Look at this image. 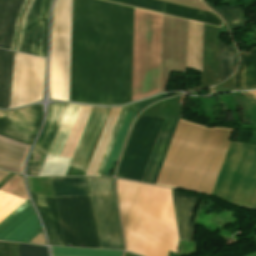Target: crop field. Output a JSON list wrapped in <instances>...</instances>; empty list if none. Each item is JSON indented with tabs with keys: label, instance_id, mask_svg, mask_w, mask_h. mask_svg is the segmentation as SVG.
I'll list each match as a JSON object with an SVG mask.
<instances>
[{
	"label": "crop field",
	"instance_id": "crop-field-20",
	"mask_svg": "<svg viewBox=\"0 0 256 256\" xmlns=\"http://www.w3.org/2000/svg\"><path fill=\"white\" fill-rule=\"evenodd\" d=\"M13 52L0 49V107L9 108Z\"/></svg>",
	"mask_w": 256,
	"mask_h": 256
},
{
	"label": "crop field",
	"instance_id": "crop-field-12",
	"mask_svg": "<svg viewBox=\"0 0 256 256\" xmlns=\"http://www.w3.org/2000/svg\"><path fill=\"white\" fill-rule=\"evenodd\" d=\"M66 105L67 104H51L49 106L44 130L30 155L27 169L28 175H39Z\"/></svg>",
	"mask_w": 256,
	"mask_h": 256
},
{
	"label": "crop field",
	"instance_id": "crop-field-14",
	"mask_svg": "<svg viewBox=\"0 0 256 256\" xmlns=\"http://www.w3.org/2000/svg\"><path fill=\"white\" fill-rule=\"evenodd\" d=\"M180 240L193 241L192 217L199 199L182 196L171 189Z\"/></svg>",
	"mask_w": 256,
	"mask_h": 256
},
{
	"label": "crop field",
	"instance_id": "crop-field-19",
	"mask_svg": "<svg viewBox=\"0 0 256 256\" xmlns=\"http://www.w3.org/2000/svg\"><path fill=\"white\" fill-rule=\"evenodd\" d=\"M203 24L188 20L187 66L201 70Z\"/></svg>",
	"mask_w": 256,
	"mask_h": 256
},
{
	"label": "crop field",
	"instance_id": "crop-field-3",
	"mask_svg": "<svg viewBox=\"0 0 256 256\" xmlns=\"http://www.w3.org/2000/svg\"><path fill=\"white\" fill-rule=\"evenodd\" d=\"M232 132L180 121L158 183L210 194Z\"/></svg>",
	"mask_w": 256,
	"mask_h": 256
},
{
	"label": "crop field",
	"instance_id": "crop-field-28",
	"mask_svg": "<svg viewBox=\"0 0 256 256\" xmlns=\"http://www.w3.org/2000/svg\"><path fill=\"white\" fill-rule=\"evenodd\" d=\"M18 256H47L46 247L18 244Z\"/></svg>",
	"mask_w": 256,
	"mask_h": 256
},
{
	"label": "crop field",
	"instance_id": "crop-field-31",
	"mask_svg": "<svg viewBox=\"0 0 256 256\" xmlns=\"http://www.w3.org/2000/svg\"><path fill=\"white\" fill-rule=\"evenodd\" d=\"M249 93H251V94L256 96V91H252V92H249Z\"/></svg>",
	"mask_w": 256,
	"mask_h": 256
},
{
	"label": "crop field",
	"instance_id": "crop-field-32",
	"mask_svg": "<svg viewBox=\"0 0 256 256\" xmlns=\"http://www.w3.org/2000/svg\"><path fill=\"white\" fill-rule=\"evenodd\" d=\"M53 256H59V255H53Z\"/></svg>",
	"mask_w": 256,
	"mask_h": 256
},
{
	"label": "crop field",
	"instance_id": "crop-field-5",
	"mask_svg": "<svg viewBox=\"0 0 256 256\" xmlns=\"http://www.w3.org/2000/svg\"><path fill=\"white\" fill-rule=\"evenodd\" d=\"M211 195L256 208L255 144L230 143Z\"/></svg>",
	"mask_w": 256,
	"mask_h": 256
},
{
	"label": "crop field",
	"instance_id": "crop-field-7",
	"mask_svg": "<svg viewBox=\"0 0 256 256\" xmlns=\"http://www.w3.org/2000/svg\"><path fill=\"white\" fill-rule=\"evenodd\" d=\"M102 248L122 250L112 179L88 178Z\"/></svg>",
	"mask_w": 256,
	"mask_h": 256
},
{
	"label": "crop field",
	"instance_id": "crop-field-1",
	"mask_svg": "<svg viewBox=\"0 0 256 256\" xmlns=\"http://www.w3.org/2000/svg\"><path fill=\"white\" fill-rule=\"evenodd\" d=\"M133 8L73 0L69 101L130 102Z\"/></svg>",
	"mask_w": 256,
	"mask_h": 256
},
{
	"label": "crop field",
	"instance_id": "crop-field-10",
	"mask_svg": "<svg viewBox=\"0 0 256 256\" xmlns=\"http://www.w3.org/2000/svg\"><path fill=\"white\" fill-rule=\"evenodd\" d=\"M51 0H34L26 17L22 53L45 57L47 13ZM45 18V22H40Z\"/></svg>",
	"mask_w": 256,
	"mask_h": 256
},
{
	"label": "crop field",
	"instance_id": "crop-field-4",
	"mask_svg": "<svg viewBox=\"0 0 256 256\" xmlns=\"http://www.w3.org/2000/svg\"><path fill=\"white\" fill-rule=\"evenodd\" d=\"M53 196L91 197L87 178H50ZM53 197L63 246L101 248L91 198Z\"/></svg>",
	"mask_w": 256,
	"mask_h": 256
},
{
	"label": "crop field",
	"instance_id": "crop-field-2",
	"mask_svg": "<svg viewBox=\"0 0 256 256\" xmlns=\"http://www.w3.org/2000/svg\"><path fill=\"white\" fill-rule=\"evenodd\" d=\"M126 251L143 256L176 252L178 236L168 188L117 180Z\"/></svg>",
	"mask_w": 256,
	"mask_h": 256
},
{
	"label": "crop field",
	"instance_id": "crop-field-29",
	"mask_svg": "<svg viewBox=\"0 0 256 256\" xmlns=\"http://www.w3.org/2000/svg\"><path fill=\"white\" fill-rule=\"evenodd\" d=\"M0 256H17V244L0 242Z\"/></svg>",
	"mask_w": 256,
	"mask_h": 256
},
{
	"label": "crop field",
	"instance_id": "crop-field-13",
	"mask_svg": "<svg viewBox=\"0 0 256 256\" xmlns=\"http://www.w3.org/2000/svg\"><path fill=\"white\" fill-rule=\"evenodd\" d=\"M178 121L179 119H164L142 181L156 184Z\"/></svg>",
	"mask_w": 256,
	"mask_h": 256
},
{
	"label": "crop field",
	"instance_id": "crop-field-9",
	"mask_svg": "<svg viewBox=\"0 0 256 256\" xmlns=\"http://www.w3.org/2000/svg\"><path fill=\"white\" fill-rule=\"evenodd\" d=\"M41 118V105L0 111V135L31 145Z\"/></svg>",
	"mask_w": 256,
	"mask_h": 256
},
{
	"label": "crop field",
	"instance_id": "crop-field-18",
	"mask_svg": "<svg viewBox=\"0 0 256 256\" xmlns=\"http://www.w3.org/2000/svg\"><path fill=\"white\" fill-rule=\"evenodd\" d=\"M240 53L242 64L233 75L234 90L256 88V48Z\"/></svg>",
	"mask_w": 256,
	"mask_h": 256
},
{
	"label": "crop field",
	"instance_id": "crop-field-16",
	"mask_svg": "<svg viewBox=\"0 0 256 256\" xmlns=\"http://www.w3.org/2000/svg\"><path fill=\"white\" fill-rule=\"evenodd\" d=\"M31 193V192H30ZM41 214L50 245L62 246L53 199L31 193Z\"/></svg>",
	"mask_w": 256,
	"mask_h": 256
},
{
	"label": "crop field",
	"instance_id": "crop-field-23",
	"mask_svg": "<svg viewBox=\"0 0 256 256\" xmlns=\"http://www.w3.org/2000/svg\"><path fill=\"white\" fill-rule=\"evenodd\" d=\"M211 8L217 13H219L232 29H239V28L245 27L246 19H245L241 5L232 6V7H211Z\"/></svg>",
	"mask_w": 256,
	"mask_h": 256
},
{
	"label": "crop field",
	"instance_id": "crop-field-26",
	"mask_svg": "<svg viewBox=\"0 0 256 256\" xmlns=\"http://www.w3.org/2000/svg\"><path fill=\"white\" fill-rule=\"evenodd\" d=\"M128 106H129V105L124 106V107L122 108V110H121V113H120V115H119V118H118V120H117V123H116V125H115V128H114V130H113V133H112V135H111V138H110V140H109V143H108V145H107V148H106V150H105V153H104V155H103V158H102V160H101V163H100V165H99V168H98L97 173H96L95 176H101V175H102V172H103V170H104V167H105L106 162H107V160H108V157H109V155H110L111 149H112L113 144H114V142H115V139H116V137H117L118 131H119V129H120V126H121V124H122V121H123V119H124V116H125V113H126V111H127Z\"/></svg>",
	"mask_w": 256,
	"mask_h": 256
},
{
	"label": "crop field",
	"instance_id": "crop-field-27",
	"mask_svg": "<svg viewBox=\"0 0 256 256\" xmlns=\"http://www.w3.org/2000/svg\"><path fill=\"white\" fill-rule=\"evenodd\" d=\"M162 13L163 2L157 0H107Z\"/></svg>",
	"mask_w": 256,
	"mask_h": 256
},
{
	"label": "crop field",
	"instance_id": "crop-field-11",
	"mask_svg": "<svg viewBox=\"0 0 256 256\" xmlns=\"http://www.w3.org/2000/svg\"><path fill=\"white\" fill-rule=\"evenodd\" d=\"M110 109L111 108H92L69 165L70 167L86 170Z\"/></svg>",
	"mask_w": 256,
	"mask_h": 256
},
{
	"label": "crop field",
	"instance_id": "crop-field-8",
	"mask_svg": "<svg viewBox=\"0 0 256 256\" xmlns=\"http://www.w3.org/2000/svg\"><path fill=\"white\" fill-rule=\"evenodd\" d=\"M25 199L0 191V222ZM42 231L29 201H25L0 223V240L28 243Z\"/></svg>",
	"mask_w": 256,
	"mask_h": 256
},
{
	"label": "crop field",
	"instance_id": "crop-field-21",
	"mask_svg": "<svg viewBox=\"0 0 256 256\" xmlns=\"http://www.w3.org/2000/svg\"><path fill=\"white\" fill-rule=\"evenodd\" d=\"M164 13L220 26L222 22L210 12L165 2Z\"/></svg>",
	"mask_w": 256,
	"mask_h": 256
},
{
	"label": "crop field",
	"instance_id": "crop-field-6",
	"mask_svg": "<svg viewBox=\"0 0 256 256\" xmlns=\"http://www.w3.org/2000/svg\"><path fill=\"white\" fill-rule=\"evenodd\" d=\"M164 118L140 115L133 125L120 161V177L142 180Z\"/></svg>",
	"mask_w": 256,
	"mask_h": 256
},
{
	"label": "crop field",
	"instance_id": "crop-field-17",
	"mask_svg": "<svg viewBox=\"0 0 256 256\" xmlns=\"http://www.w3.org/2000/svg\"><path fill=\"white\" fill-rule=\"evenodd\" d=\"M26 147L27 145L0 136V168L20 173Z\"/></svg>",
	"mask_w": 256,
	"mask_h": 256
},
{
	"label": "crop field",
	"instance_id": "crop-field-25",
	"mask_svg": "<svg viewBox=\"0 0 256 256\" xmlns=\"http://www.w3.org/2000/svg\"><path fill=\"white\" fill-rule=\"evenodd\" d=\"M53 254L73 256H120L121 252L52 247Z\"/></svg>",
	"mask_w": 256,
	"mask_h": 256
},
{
	"label": "crop field",
	"instance_id": "crop-field-22",
	"mask_svg": "<svg viewBox=\"0 0 256 256\" xmlns=\"http://www.w3.org/2000/svg\"><path fill=\"white\" fill-rule=\"evenodd\" d=\"M236 66V57L232 46L219 41L218 82L232 74Z\"/></svg>",
	"mask_w": 256,
	"mask_h": 256
},
{
	"label": "crop field",
	"instance_id": "crop-field-30",
	"mask_svg": "<svg viewBox=\"0 0 256 256\" xmlns=\"http://www.w3.org/2000/svg\"><path fill=\"white\" fill-rule=\"evenodd\" d=\"M8 174V172L0 171V180L5 177ZM4 179V178H3Z\"/></svg>",
	"mask_w": 256,
	"mask_h": 256
},
{
	"label": "crop field",
	"instance_id": "crop-field-24",
	"mask_svg": "<svg viewBox=\"0 0 256 256\" xmlns=\"http://www.w3.org/2000/svg\"><path fill=\"white\" fill-rule=\"evenodd\" d=\"M134 114H135L134 112H131L129 110L127 111L125 119H124L123 124L121 126V129L119 131L118 137H117L116 142L114 144V147L112 149L111 155H110L109 160L107 162V165L105 167L104 173L102 172L103 173L102 176H105V175L108 174V172L111 169L114 161L116 160V158H117V156L120 152V149H121L124 137L126 135L127 129L129 127L133 117H134Z\"/></svg>",
	"mask_w": 256,
	"mask_h": 256
},
{
	"label": "crop field",
	"instance_id": "crop-field-15",
	"mask_svg": "<svg viewBox=\"0 0 256 256\" xmlns=\"http://www.w3.org/2000/svg\"><path fill=\"white\" fill-rule=\"evenodd\" d=\"M24 0H0V48H11L16 15Z\"/></svg>",
	"mask_w": 256,
	"mask_h": 256
}]
</instances>
